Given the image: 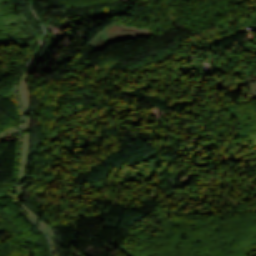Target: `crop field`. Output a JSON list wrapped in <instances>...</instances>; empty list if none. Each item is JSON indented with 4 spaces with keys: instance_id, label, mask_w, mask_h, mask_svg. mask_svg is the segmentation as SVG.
Here are the masks:
<instances>
[{
    "instance_id": "8a807250",
    "label": "crop field",
    "mask_w": 256,
    "mask_h": 256,
    "mask_svg": "<svg viewBox=\"0 0 256 256\" xmlns=\"http://www.w3.org/2000/svg\"><path fill=\"white\" fill-rule=\"evenodd\" d=\"M15 3H17V0H13Z\"/></svg>"
}]
</instances>
